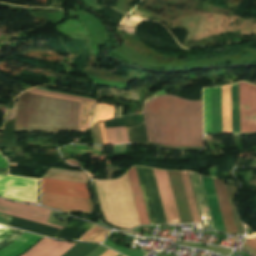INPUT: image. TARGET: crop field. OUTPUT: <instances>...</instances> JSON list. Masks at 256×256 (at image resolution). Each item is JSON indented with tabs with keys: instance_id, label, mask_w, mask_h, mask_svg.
Instances as JSON below:
<instances>
[{
	"instance_id": "obj_12",
	"label": "crop field",
	"mask_w": 256,
	"mask_h": 256,
	"mask_svg": "<svg viewBox=\"0 0 256 256\" xmlns=\"http://www.w3.org/2000/svg\"><path fill=\"white\" fill-rule=\"evenodd\" d=\"M40 238L41 236L24 232L22 235L16 238L12 243L0 249V256H18Z\"/></svg>"
},
{
	"instance_id": "obj_13",
	"label": "crop field",
	"mask_w": 256,
	"mask_h": 256,
	"mask_svg": "<svg viewBox=\"0 0 256 256\" xmlns=\"http://www.w3.org/2000/svg\"><path fill=\"white\" fill-rule=\"evenodd\" d=\"M203 185L205 188L206 196L208 199L209 207L211 210L212 218L214 221L215 229L218 231H225L224 223L222 220L221 212L219 209L218 201L216 198L215 190L213 187L212 179L211 178H203Z\"/></svg>"
},
{
	"instance_id": "obj_16",
	"label": "crop field",
	"mask_w": 256,
	"mask_h": 256,
	"mask_svg": "<svg viewBox=\"0 0 256 256\" xmlns=\"http://www.w3.org/2000/svg\"><path fill=\"white\" fill-rule=\"evenodd\" d=\"M180 173H181V177H182V181H183V185H184V189H185V193H186V197H187V201H188L192 221L193 222H201L200 217H199V213H198V210H197L196 202H195V199H194V195H193V192H192L191 184H190V181H189L188 173L187 172H180Z\"/></svg>"
},
{
	"instance_id": "obj_14",
	"label": "crop field",
	"mask_w": 256,
	"mask_h": 256,
	"mask_svg": "<svg viewBox=\"0 0 256 256\" xmlns=\"http://www.w3.org/2000/svg\"><path fill=\"white\" fill-rule=\"evenodd\" d=\"M128 179L131 186L132 194L134 197V201L136 204L137 212L139 215L140 223L141 224H150L148 215L146 212V208L144 205L143 197L141 194L140 186L138 183V179L136 176L135 168L133 167L128 173Z\"/></svg>"
},
{
	"instance_id": "obj_2",
	"label": "crop field",
	"mask_w": 256,
	"mask_h": 256,
	"mask_svg": "<svg viewBox=\"0 0 256 256\" xmlns=\"http://www.w3.org/2000/svg\"><path fill=\"white\" fill-rule=\"evenodd\" d=\"M81 104L27 91L19 97L15 131H79Z\"/></svg>"
},
{
	"instance_id": "obj_19",
	"label": "crop field",
	"mask_w": 256,
	"mask_h": 256,
	"mask_svg": "<svg viewBox=\"0 0 256 256\" xmlns=\"http://www.w3.org/2000/svg\"><path fill=\"white\" fill-rule=\"evenodd\" d=\"M233 133L239 134L237 83L231 85Z\"/></svg>"
},
{
	"instance_id": "obj_15",
	"label": "crop field",
	"mask_w": 256,
	"mask_h": 256,
	"mask_svg": "<svg viewBox=\"0 0 256 256\" xmlns=\"http://www.w3.org/2000/svg\"><path fill=\"white\" fill-rule=\"evenodd\" d=\"M42 205L70 214L71 211L91 214L93 205L42 198Z\"/></svg>"
},
{
	"instance_id": "obj_23",
	"label": "crop field",
	"mask_w": 256,
	"mask_h": 256,
	"mask_svg": "<svg viewBox=\"0 0 256 256\" xmlns=\"http://www.w3.org/2000/svg\"><path fill=\"white\" fill-rule=\"evenodd\" d=\"M93 144L103 145L98 123L91 127Z\"/></svg>"
},
{
	"instance_id": "obj_7",
	"label": "crop field",
	"mask_w": 256,
	"mask_h": 256,
	"mask_svg": "<svg viewBox=\"0 0 256 256\" xmlns=\"http://www.w3.org/2000/svg\"><path fill=\"white\" fill-rule=\"evenodd\" d=\"M154 170L168 224L180 223L166 171Z\"/></svg>"
},
{
	"instance_id": "obj_26",
	"label": "crop field",
	"mask_w": 256,
	"mask_h": 256,
	"mask_svg": "<svg viewBox=\"0 0 256 256\" xmlns=\"http://www.w3.org/2000/svg\"><path fill=\"white\" fill-rule=\"evenodd\" d=\"M100 124V128H101V132H102V139H103V143L104 145L108 144L107 143V139H106V132L104 130V125L103 122L99 123Z\"/></svg>"
},
{
	"instance_id": "obj_10",
	"label": "crop field",
	"mask_w": 256,
	"mask_h": 256,
	"mask_svg": "<svg viewBox=\"0 0 256 256\" xmlns=\"http://www.w3.org/2000/svg\"><path fill=\"white\" fill-rule=\"evenodd\" d=\"M212 179H213L214 187L216 190L217 198L219 201L220 209L222 212L223 220L225 223L226 231L231 233H237L225 182L215 178H212Z\"/></svg>"
},
{
	"instance_id": "obj_21",
	"label": "crop field",
	"mask_w": 256,
	"mask_h": 256,
	"mask_svg": "<svg viewBox=\"0 0 256 256\" xmlns=\"http://www.w3.org/2000/svg\"><path fill=\"white\" fill-rule=\"evenodd\" d=\"M111 118H113V106L98 104L93 123Z\"/></svg>"
},
{
	"instance_id": "obj_29",
	"label": "crop field",
	"mask_w": 256,
	"mask_h": 256,
	"mask_svg": "<svg viewBox=\"0 0 256 256\" xmlns=\"http://www.w3.org/2000/svg\"><path fill=\"white\" fill-rule=\"evenodd\" d=\"M159 92H166V91H159ZM159 92H156V93H159ZM156 93H154L153 95H155ZM161 94H166V93H159V94H157V96L158 95H161ZM147 100V99H146Z\"/></svg>"
},
{
	"instance_id": "obj_28",
	"label": "crop field",
	"mask_w": 256,
	"mask_h": 256,
	"mask_svg": "<svg viewBox=\"0 0 256 256\" xmlns=\"http://www.w3.org/2000/svg\"><path fill=\"white\" fill-rule=\"evenodd\" d=\"M115 255H117V253H115V252H113V251L108 249L101 256H115Z\"/></svg>"
},
{
	"instance_id": "obj_5",
	"label": "crop field",
	"mask_w": 256,
	"mask_h": 256,
	"mask_svg": "<svg viewBox=\"0 0 256 256\" xmlns=\"http://www.w3.org/2000/svg\"><path fill=\"white\" fill-rule=\"evenodd\" d=\"M240 132L256 131V87L239 83Z\"/></svg>"
},
{
	"instance_id": "obj_11",
	"label": "crop field",
	"mask_w": 256,
	"mask_h": 256,
	"mask_svg": "<svg viewBox=\"0 0 256 256\" xmlns=\"http://www.w3.org/2000/svg\"><path fill=\"white\" fill-rule=\"evenodd\" d=\"M73 245L75 244L44 238L23 256H61Z\"/></svg>"
},
{
	"instance_id": "obj_1",
	"label": "crop field",
	"mask_w": 256,
	"mask_h": 256,
	"mask_svg": "<svg viewBox=\"0 0 256 256\" xmlns=\"http://www.w3.org/2000/svg\"><path fill=\"white\" fill-rule=\"evenodd\" d=\"M143 117L150 142L203 147L202 101L159 96L145 103Z\"/></svg>"
},
{
	"instance_id": "obj_22",
	"label": "crop field",
	"mask_w": 256,
	"mask_h": 256,
	"mask_svg": "<svg viewBox=\"0 0 256 256\" xmlns=\"http://www.w3.org/2000/svg\"><path fill=\"white\" fill-rule=\"evenodd\" d=\"M42 197L92 204L91 201L87 199H80V198H73V197H66V196H59V195H52V194H45V193H43Z\"/></svg>"
},
{
	"instance_id": "obj_27",
	"label": "crop field",
	"mask_w": 256,
	"mask_h": 256,
	"mask_svg": "<svg viewBox=\"0 0 256 256\" xmlns=\"http://www.w3.org/2000/svg\"><path fill=\"white\" fill-rule=\"evenodd\" d=\"M8 162L0 155V167L7 168Z\"/></svg>"
},
{
	"instance_id": "obj_4",
	"label": "crop field",
	"mask_w": 256,
	"mask_h": 256,
	"mask_svg": "<svg viewBox=\"0 0 256 256\" xmlns=\"http://www.w3.org/2000/svg\"><path fill=\"white\" fill-rule=\"evenodd\" d=\"M38 180L0 175V196L36 203Z\"/></svg>"
},
{
	"instance_id": "obj_3",
	"label": "crop field",
	"mask_w": 256,
	"mask_h": 256,
	"mask_svg": "<svg viewBox=\"0 0 256 256\" xmlns=\"http://www.w3.org/2000/svg\"><path fill=\"white\" fill-rule=\"evenodd\" d=\"M223 133H232L230 86L222 87ZM221 87L206 89L207 134L222 133ZM205 112V89H204ZM206 134V112H205Z\"/></svg>"
},
{
	"instance_id": "obj_25",
	"label": "crop field",
	"mask_w": 256,
	"mask_h": 256,
	"mask_svg": "<svg viewBox=\"0 0 256 256\" xmlns=\"http://www.w3.org/2000/svg\"><path fill=\"white\" fill-rule=\"evenodd\" d=\"M244 245L249 246V247H251L252 249H254L256 251V238L253 239V240L247 238Z\"/></svg>"
},
{
	"instance_id": "obj_20",
	"label": "crop field",
	"mask_w": 256,
	"mask_h": 256,
	"mask_svg": "<svg viewBox=\"0 0 256 256\" xmlns=\"http://www.w3.org/2000/svg\"><path fill=\"white\" fill-rule=\"evenodd\" d=\"M94 106H95V104H93V103L83 101L82 111H81L80 131H85L86 129L89 128L91 119H92Z\"/></svg>"
},
{
	"instance_id": "obj_6",
	"label": "crop field",
	"mask_w": 256,
	"mask_h": 256,
	"mask_svg": "<svg viewBox=\"0 0 256 256\" xmlns=\"http://www.w3.org/2000/svg\"><path fill=\"white\" fill-rule=\"evenodd\" d=\"M25 205L11 203L0 199V212L62 229V227L46 223L51 210L31 207L32 205Z\"/></svg>"
},
{
	"instance_id": "obj_9",
	"label": "crop field",
	"mask_w": 256,
	"mask_h": 256,
	"mask_svg": "<svg viewBox=\"0 0 256 256\" xmlns=\"http://www.w3.org/2000/svg\"><path fill=\"white\" fill-rule=\"evenodd\" d=\"M168 172V171H167ZM171 188L173 191L175 203L177 206L179 218L181 223L192 222L180 173L179 172H168Z\"/></svg>"
},
{
	"instance_id": "obj_18",
	"label": "crop field",
	"mask_w": 256,
	"mask_h": 256,
	"mask_svg": "<svg viewBox=\"0 0 256 256\" xmlns=\"http://www.w3.org/2000/svg\"><path fill=\"white\" fill-rule=\"evenodd\" d=\"M109 233L110 231H106L101 227L94 225L78 240L101 243Z\"/></svg>"
},
{
	"instance_id": "obj_8",
	"label": "crop field",
	"mask_w": 256,
	"mask_h": 256,
	"mask_svg": "<svg viewBox=\"0 0 256 256\" xmlns=\"http://www.w3.org/2000/svg\"><path fill=\"white\" fill-rule=\"evenodd\" d=\"M44 185H45L46 193H53V194L90 199L87 191V187L84 184L43 178L42 192H44Z\"/></svg>"
},
{
	"instance_id": "obj_17",
	"label": "crop field",
	"mask_w": 256,
	"mask_h": 256,
	"mask_svg": "<svg viewBox=\"0 0 256 256\" xmlns=\"http://www.w3.org/2000/svg\"><path fill=\"white\" fill-rule=\"evenodd\" d=\"M105 130L109 144L129 143L126 127L107 128Z\"/></svg>"
},
{
	"instance_id": "obj_24",
	"label": "crop field",
	"mask_w": 256,
	"mask_h": 256,
	"mask_svg": "<svg viewBox=\"0 0 256 256\" xmlns=\"http://www.w3.org/2000/svg\"><path fill=\"white\" fill-rule=\"evenodd\" d=\"M29 91H30V90H29ZM31 91H33V92H39V93H43V94H47V95L59 96V97H67V98L81 99V100L91 101V102H94V103H95V100H91V99H87V98H78V97L69 96V95H63V94H57V93H53V92H49V91H42V90H38V89H36V88L31 89Z\"/></svg>"
}]
</instances>
